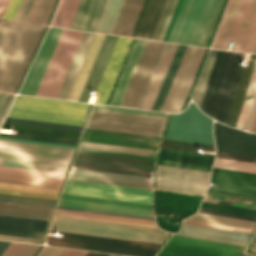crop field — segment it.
Instances as JSON below:
<instances>
[{
	"label": "crop field",
	"mask_w": 256,
	"mask_h": 256,
	"mask_svg": "<svg viewBox=\"0 0 256 256\" xmlns=\"http://www.w3.org/2000/svg\"><path fill=\"white\" fill-rule=\"evenodd\" d=\"M160 158L212 165L214 156L162 149Z\"/></svg>",
	"instance_id": "obj_40"
},
{
	"label": "crop field",
	"mask_w": 256,
	"mask_h": 256,
	"mask_svg": "<svg viewBox=\"0 0 256 256\" xmlns=\"http://www.w3.org/2000/svg\"><path fill=\"white\" fill-rule=\"evenodd\" d=\"M0 182H8V183H16V184H24V185H32V186H40V187H48V188H56V189H60V187H61V186H57V185L39 184V183L4 180V179H0Z\"/></svg>",
	"instance_id": "obj_65"
},
{
	"label": "crop field",
	"mask_w": 256,
	"mask_h": 256,
	"mask_svg": "<svg viewBox=\"0 0 256 256\" xmlns=\"http://www.w3.org/2000/svg\"><path fill=\"white\" fill-rule=\"evenodd\" d=\"M57 208L69 209V210H77V211H87V212H95V213H103V214H111V215H119V216H127V217H135V218H143V219H151V220H154V218H150V217H142V216H134V215H126V214H118V213H110V212H102V211H94V210L70 208V207H62V206H58Z\"/></svg>",
	"instance_id": "obj_62"
},
{
	"label": "crop field",
	"mask_w": 256,
	"mask_h": 256,
	"mask_svg": "<svg viewBox=\"0 0 256 256\" xmlns=\"http://www.w3.org/2000/svg\"><path fill=\"white\" fill-rule=\"evenodd\" d=\"M93 34L94 33H89V32L84 33L82 40L80 42V45L75 54V57L70 66V69L65 78V81L62 85L60 93L57 97L58 99H66L67 98Z\"/></svg>",
	"instance_id": "obj_30"
},
{
	"label": "crop field",
	"mask_w": 256,
	"mask_h": 256,
	"mask_svg": "<svg viewBox=\"0 0 256 256\" xmlns=\"http://www.w3.org/2000/svg\"><path fill=\"white\" fill-rule=\"evenodd\" d=\"M253 132H256V120H255V123H254V126H253Z\"/></svg>",
	"instance_id": "obj_77"
},
{
	"label": "crop field",
	"mask_w": 256,
	"mask_h": 256,
	"mask_svg": "<svg viewBox=\"0 0 256 256\" xmlns=\"http://www.w3.org/2000/svg\"><path fill=\"white\" fill-rule=\"evenodd\" d=\"M245 54L217 51L200 109L227 123L242 75Z\"/></svg>",
	"instance_id": "obj_5"
},
{
	"label": "crop field",
	"mask_w": 256,
	"mask_h": 256,
	"mask_svg": "<svg viewBox=\"0 0 256 256\" xmlns=\"http://www.w3.org/2000/svg\"><path fill=\"white\" fill-rule=\"evenodd\" d=\"M217 155L232 157V158H238V159H244V160H250V161H256V158H254V157L231 154V153H225V152H219V151H217Z\"/></svg>",
	"instance_id": "obj_69"
},
{
	"label": "crop field",
	"mask_w": 256,
	"mask_h": 256,
	"mask_svg": "<svg viewBox=\"0 0 256 256\" xmlns=\"http://www.w3.org/2000/svg\"><path fill=\"white\" fill-rule=\"evenodd\" d=\"M14 96H15V95L8 94V96H7V98H6L5 102H4V104L2 105V107H1V109H0V124H1V122H2V120H3V118H4V116H5V114H6V112H7V110H8V108H9V106H10V104H11V102H12Z\"/></svg>",
	"instance_id": "obj_66"
},
{
	"label": "crop field",
	"mask_w": 256,
	"mask_h": 256,
	"mask_svg": "<svg viewBox=\"0 0 256 256\" xmlns=\"http://www.w3.org/2000/svg\"><path fill=\"white\" fill-rule=\"evenodd\" d=\"M165 121L92 111L86 127L161 137Z\"/></svg>",
	"instance_id": "obj_11"
},
{
	"label": "crop field",
	"mask_w": 256,
	"mask_h": 256,
	"mask_svg": "<svg viewBox=\"0 0 256 256\" xmlns=\"http://www.w3.org/2000/svg\"><path fill=\"white\" fill-rule=\"evenodd\" d=\"M68 179L152 190L147 177L140 176L76 169L74 176L69 175Z\"/></svg>",
	"instance_id": "obj_22"
},
{
	"label": "crop field",
	"mask_w": 256,
	"mask_h": 256,
	"mask_svg": "<svg viewBox=\"0 0 256 256\" xmlns=\"http://www.w3.org/2000/svg\"><path fill=\"white\" fill-rule=\"evenodd\" d=\"M47 222L0 215V234L41 239Z\"/></svg>",
	"instance_id": "obj_24"
},
{
	"label": "crop field",
	"mask_w": 256,
	"mask_h": 256,
	"mask_svg": "<svg viewBox=\"0 0 256 256\" xmlns=\"http://www.w3.org/2000/svg\"><path fill=\"white\" fill-rule=\"evenodd\" d=\"M158 164L176 166V167H184V168H192V169H199V170H207V171H210L211 167H212V166H209V165H201V164L178 162V161L163 160V159H160Z\"/></svg>",
	"instance_id": "obj_55"
},
{
	"label": "crop field",
	"mask_w": 256,
	"mask_h": 256,
	"mask_svg": "<svg viewBox=\"0 0 256 256\" xmlns=\"http://www.w3.org/2000/svg\"><path fill=\"white\" fill-rule=\"evenodd\" d=\"M65 174L0 166V178L61 185Z\"/></svg>",
	"instance_id": "obj_28"
},
{
	"label": "crop field",
	"mask_w": 256,
	"mask_h": 256,
	"mask_svg": "<svg viewBox=\"0 0 256 256\" xmlns=\"http://www.w3.org/2000/svg\"><path fill=\"white\" fill-rule=\"evenodd\" d=\"M10 0H0V19L2 18Z\"/></svg>",
	"instance_id": "obj_71"
},
{
	"label": "crop field",
	"mask_w": 256,
	"mask_h": 256,
	"mask_svg": "<svg viewBox=\"0 0 256 256\" xmlns=\"http://www.w3.org/2000/svg\"><path fill=\"white\" fill-rule=\"evenodd\" d=\"M217 150L256 157V134L229 128L215 122Z\"/></svg>",
	"instance_id": "obj_19"
},
{
	"label": "crop field",
	"mask_w": 256,
	"mask_h": 256,
	"mask_svg": "<svg viewBox=\"0 0 256 256\" xmlns=\"http://www.w3.org/2000/svg\"><path fill=\"white\" fill-rule=\"evenodd\" d=\"M198 212L256 222L255 217L242 216V215L229 214V213H222V212L209 211V210H203V209H199Z\"/></svg>",
	"instance_id": "obj_59"
},
{
	"label": "crop field",
	"mask_w": 256,
	"mask_h": 256,
	"mask_svg": "<svg viewBox=\"0 0 256 256\" xmlns=\"http://www.w3.org/2000/svg\"><path fill=\"white\" fill-rule=\"evenodd\" d=\"M189 219H195V220H201V221H207V222H213V223H219V224H225V225H231V226H237V227H243V228H249V229H253V226L256 224L253 222H247V221H241V220H235V219H229V218H223V217H217V216H211V215H205V214H199V213H196L195 215L189 217Z\"/></svg>",
	"instance_id": "obj_44"
},
{
	"label": "crop field",
	"mask_w": 256,
	"mask_h": 256,
	"mask_svg": "<svg viewBox=\"0 0 256 256\" xmlns=\"http://www.w3.org/2000/svg\"><path fill=\"white\" fill-rule=\"evenodd\" d=\"M6 96H7L6 93H1L0 92V107H1L2 103L4 102Z\"/></svg>",
	"instance_id": "obj_75"
},
{
	"label": "crop field",
	"mask_w": 256,
	"mask_h": 256,
	"mask_svg": "<svg viewBox=\"0 0 256 256\" xmlns=\"http://www.w3.org/2000/svg\"><path fill=\"white\" fill-rule=\"evenodd\" d=\"M213 191L256 198V174L214 168Z\"/></svg>",
	"instance_id": "obj_18"
},
{
	"label": "crop field",
	"mask_w": 256,
	"mask_h": 256,
	"mask_svg": "<svg viewBox=\"0 0 256 256\" xmlns=\"http://www.w3.org/2000/svg\"><path fill=\"white\" fill-rule=\"evenodd\" d=\"M255 59H256V56L251 55L249 61L252 60L254 62L253 63L248 62L247 67L244 68L243 75H242V78L238 87V91L234 100V104H233V107L229 116V120L227 123L230 126H234V127L236 126L240 109L243 103V99L246 93V89L249 83V79L252 73V69L255 63Z\"/></svg>",
	"instance_id": "obj_34"
},
{
	"label": "crop field",
	"mask_w": 256,
	"mask_h": 256,
	"mask_svg": "<svg viewBox=\"0 0 256 256\" xmlns=\"http://www.w3.org/2000/svg\"><path fill=\"white\" fill-rule=\"evenodd\" d=\"M0 188L53 194V195H57L59 192V190H56V189H48V188H40V187H32V186H24V185H16V184H8V183H0Z\"/></svg>",
	"instance_id": "obj_52"
},
{
	"label": "crop field",
	"mask_w": 256,
	"mask_h": 256,
	"mask_svg": "<svg viewBox=\"0 0 256 256\" xmlns=\"http://www.w3.org/2000/svg\"><path fill=\"white\" fill-rule=\"evenodd\" d=\"M56 0H35L25 22L47 25Z\"/></svg>",
	"instance_id": "obj_36"
},
{
	"label": "crop field",
	"mask_w": 256,
	"mask_h": 256,
	"mask_svg": "<svg viewBox=\"0 0 256 256\" xmlns=\"http://www.w3.org/2000/svg\"><path fill=\"white\" fill-rule=\"evenodd\" d=\"M124 0H108L96 32L111 34ZM144 0H125L112 34L130 37Z\"/></svg>",
	"instance_id": "obj_12"
},
{
	"label": "crop field",
	"mask_w": 256,
	"mask_h": 256,
	"mask_svg": "<svg viewBox=\"0 0 256 256\" xmlns=\"http://www.w3.org/2000/svg\"><path fill=\"white\" fill-rule=\"evenodd\" d=\"M56 212L155 225V223H153L152 221H148V220L114 217V216H106V215H97V214H89V213H79V212H75V211H67V210H60V209H57Z\"/></svg>",
	"instance_id": "obj_53"
},
{
	"label": "crop field",
	"mask_w": 256,
	"mask_h": 256,
	"mask_svg": "<svg viewBox=\"0 0 256 256\" xmlns=\"http://www.w3.org/2000/svg\"><path fill=\"white\" fill-rule=\"evenodd\" d=\"M0 136L1 137L18 138V139H27V140H36V141L62 143V144H71V145H75L76 141H77V140H73V139H64V138L28 135V134H20V133H17L16 135L0 133Z\"/></svg>",
	"instance_id": "obj_50"
},
{
	"label": "crop field",
	"mask_w": 256,
	"mask_h": 256,
	"mask_svg": "<svg viewBox=\"0 0 256 256\" xmlns=\"http://www.w3.org/2000/svg\"><path fill=\"white\" fill-rule=\"evenodd\" d=\"M62 30L50 27L19 93L36 95Z\"/></svg>",
	"instance_id": "obj_17"
},
{
	"label": "crop field",
	"mask_w": 256,
	"mask_h": 256,
	"mask_svg": "<svg viewBox=\"0 0 256 256\" xmlns=\"http://www.w3.org/2000/svg\"><path fill=\"white\" fill-rule=\"evenodd\" d=\"M70 149L0 140L2 166L63 172Z\"/></svg>",
	"instance_id": "obj_7"
},
{
	"label": "crop field",
	"mask_w": 256,
	"mask_h": 256,
	"mask_svg": "<svg viewBox=\"0 0 256 256\" xmlns=\"http://www.w3.org/2000/svg\"><path fill=\"white\" fill-rule=\"evenodd\" d=\"M23 0H11L2 19L13 21Z\"/></svg>",
	"instance_id": "obj_57"
},
{
	"label": "crop field",
	"mask_w": 256,
	"mask_h": 256,
	"mask_svg": "<svg viewBox=\"0 0 256 256\" xmlns=\"http://www.w3.org/2000/svg\"><path fill=\"white\" fill-rule=\"evenodd\" d=\"M160 139L158 137L86 128L81 141L157 150Z\"/></svg>",
	"instance_id": "obj_20"
},
{
	"label": "crop field",
	"mask_w": 256,
	"mask_h": 256,
	"mask_svg": "<svg viewBox=\"0 0 256 256\" xmlns=\"http://www.w3.org/2000/svg\"><path fill=\"white\" fill-rule=\"evenodd\" d=\"M9 244H10V242L0 241V256Z\"/></svg>",
	"instance_id": "obj_73"
},
{
	"label": "crop field",
	"mask_w": 256,
	"mask_h": 256,
	"mask_svg": "<svg viewBox=\"0 0 256 256\" xmlns=\"http://www.w3.org/2000/svg\"><path fill=\"white\" fill-rule=\"evenodd\" d=\"M230 2H231V0H230L229 3H228L226 12H225V14H224V16H223V19H222V22H221V25H220V28H219V31H220V29H221V26H222V23H223V21H224V18H225V15H226V13H227V10H228V7H229V5H230ZM219 31H218V33H217L216 39H217V37H218ZM216 39H215V41H214V44H213L212 48H213L214 45H215Z\"/></svg>",
	"instance_id": "obj_74"
},
{
	"label": "crop field",
	"mask_w": 256,
	"mask_h": 256,
	"mask_svg": "<svg viewBox=\"0 0 256 256\" xmlns=\"http://www.w3.org/2000/svg\"><path fill=\"white\" fill-rule=\"evenodd\" d=\"M250 203H251V206H249V208L256 209V202L251 201Z\"/></svg>",
	"instance_id": "obj_76"
},
{
	"label": "crop field",
	"mask_w": 256,
	"mask_h": 256,
	"mask_svg": "<svg viewBox=\"0 0 256 256\" xmlns=\"http://www.w3.org/2000/svg\"><path fill=\"white\" fill-rule=\"evenodd\" d=\"M165 139L214 144L212 119L190 103L184 112L171 115Z\"/></svg>",
	"instance_id": "obj_9"
},
{
	"label": "crop field",
	"mask_w": 256,
	"mask_h": 256,
	"mask_svg": "<svg viewBox=\"0 0 256 256\" xmlns=\"http://www.w3.org/2000/svg\"><path fill=\"white\" fill-rule=\"evenodd\" d=\"M0 197L11 198V199H19V200H27V201H35V202H43V203H51V204L55 203V201H53V200L29 198V197L6 195V194H0Z\"/></svg>",
	"instance_id": "obj_63"
},
{
	"label": "crop field",
	"mask_w": 256,
	"mask_h": 256,
	"mask_svg": "<svg viewBox=\"0 0 256 256\" xmlns=\"http://www.w3.org/2000/svg\"><path fill=\"white\" fill-rule=\"evenodd\" d=\"M89 106L85 103L19 96L8 116L82 126Z\"/></svg>",
	"instance_id": "obj_6"
},
{
	"label": "crop field",
	"mask_w": 256,
	"mask_h": 256,
	"mask_svg": "<svg viewBox=\"0 0 256 256\" xmlns=\"http://www.w3.org/2000/svg\"><path fill=\"white\" fill-rule=\"evenodd\" d=\"M164 43L148 40L120 106L137 108Z\"/></svg>",
	"instance_id": "obj_15"
},
{
	"label": "crop field",
	"mask_w": 256,
	"mask_h": 256,
	"mask_svg": "<svg viewBox=\"0 0 256 256\" xmlns=\"http://www.w3.org/2000/svg\"><path fill=\"white\" fill-rule=\"evenodd\" d=\"M176 235L236 244L245 246L250 235L236 233L233 231L213 229L207 227L184 224L181 231Z\"/></svg>",
	"instance_id": "obj_25"
},
{
	"label": "crop field",
	"mask_w": 256,
	"mask_h": 256,
	"mask_svg": "<svg viewBox=\"0 0 256 256\" xmlns=\"http://www.w3.org/2000/svg\"><path fill=\"white\" fill-rule=\"evenodd\" d=\"M134 39L119 37L98 86L95 103L106 104Z\"/></svg>",
	"instance_id": "obj_21"
},
{
	"label": "crop field",
	"mask_w": 256,
	"mask_h": 256,
	"mask_svg": "<svg viewBox=\"0 0 256 256\" xmlns=\"http://www.w3.org/2000/svg\"><path fill=\"white\" fill-rule=\"evenodd\" d=\"M53 209L0 202V214L48 220Z\"/></svg>",
	"instance_id": "obj_31"
},
{
	"label": "crop field",
	"mask_w": 256,
	"mask_h": 256,
	"mask_svg": "<svg viewBox=\"0 0 256 256\" xmlns=\"http://www.w3.org/2000/svg\"><path fill=\"white\" fill-rule=\"evenodd\" d=\"M157 151L81 142L72 167L152 177Z\"/></svg>",
	"instance_id": "obj_4"
},
{
	"label": "crop field",
	"mask_w": 256,
	"mask_h": 256,
	"mask_svg": "<svg viewBox=\"0 0 256 256\" xmlns=\"http://www.w3.org/2000/svg\"><path fill=\"white\" fill-rule=\"evenodd\" d=\"M214 167L230 169L236 171H243L249 173H256V162L226 158V157H216Z\"/></svg>",
	"instance_id": "obj_41"
},
{
	"label": "crop field",
	"mask_w": 256,
	"mask_h": 256,
	"mask_svg": "<svg viewBox=\"0 0 256 256\" xmlns=\"http://www.w3.org/2000/svg\"><path fill=\"white\" fill-rule=\"evenodd\" d=\"M244 1L241 0L222 49H225ZM230 40L231 50L253 53L256 47V0H245ZM227 49V48H226Z\"/></svg>",
	"instance_id": "obj_13"
},
{
	"label": "crop field",
	"mask_w": 256,
	"mask_h": 256,
	"mask_svg": "<svg viewBox=\"0 0 256 256\" xmlns=\"http://www.w3.org/2000/svg\"><path fill=\"white\" fill-rule=\"evenodd\" d=\"M207 184L156 177V189L204 195Z\"/></svg>",
	"instance_id": "obj_33"
},
{
	"label": "crop field",
	"mask_w": 256,
	"mask_h": 256,
	"mask_svg": "<svg viewBox=\"0 0 256 256\" xmlns=\"http://www.w3.org/2000/svg\"><path fill=\"white\" fill-rule=\"evenodd\" d=\"M0 193L30 196V197L45 198V199H53V200H56V198H57V196H53V195H45V194H37V193H29V192H20V191H12V190H4V189H0Z\"/></svg>",
	"instance_id": "obj_60"
},
{
	"label": "crop field",
	"mask_w": 256,
	"mask_h": 256,
	"mask_svg": "<svg viewBox=\"0 0 256 256\" xmlns=\"http://www.w3.org/2000/svg\"><path fill=\"white\" fill-rule=\"evenodd\" d=\"M255 96H256V64L252 73L249 87H248L245 100L241 109V113L238 119V123L236 126L237 128L245 129L251 110H252Z\"/></svg>",
	"instance_id": "obj_39"
},
{
	"label": "crop field",
	"mask_w": 256,
	"mask_h": 256,
	"mask_svg": "<svg viewBox=\"0 0 256 256\" xmlns=\"http://www.w3.org/2000/svg\"><path fill=\"white\" fill-rule=\"evenodd\" d=\"M216 51L217 50H214V49L210 50L208 59L206 61L204 70H203L202 75H201V78H200V80H199V82H198V84L195 88V91L193 93L192 98L197 103L198 107H200V104H201V100H202L204 90H205V87H206V84H207V81H208V77H209V74H210V71H211V68H212V64H213V61H214V58H215Z\"/></svg>",
	"instance_id": "obj_42"
},
{
	"label": "crop field",
	"mask_w": 256,
	"mask_h": 256,
	"mask_svg": "<svg viewBox=\"0 0 256 256\" xmlns=\"http://www.w3.org/2000/svg\"><path fill=\"white\" fill-rule=\"evenodd\" d=\"M22 244L11 242L2 256H14L18 249L21 247Z\"/></svg>",
	"instance_id": "obj_67"
},
{
	"label": "crop field",
	"mask_w": 256,
	"mask_h": 256,
	"mask_svg": "<svg viewBox=\"0 0 256 256\" xmlns=\"http://www.w3.org/2000/svg\"><path fill=\"white\" fill-rule=\"evenodd\" d=\"M34 0H24L14 21L24 22Z\"/></svg>",
	"instance_id": "obj_58"
},
{
	"label": "crop field",
	"mask_w": 256,
	"mask_h": 256,
	"mask_svg": "<svg viewBox=\"0 0 256 256\" xmlns=\"http://www.w3.org/2000/svg\"><path fill=\"white\" fill-rule=\"evenodd\" d=\"M147 40L137 39L109 105L119 106Z\"/></svg>",
	"instance_id": "obj_29"
},
{
	"label": "crop field",
	"mask_w": 256,
	"mask_h": 256,
	"mask_svg": "<svg viewBox=\"0 0 256 256\" xmlns=\"http://www.w3.org/2000/svg\"><path fill=\"white\" fill-rule=\"evenodd\" d=\"M109 256H119V255H113V254H109Z\"/></svg>",
	"instance_id": "obj_79"
},
{
	"label": "crop field",
	"mask_w": 256,
	"mask_h": 256,
	"mask_svg": "<svg viewBox=\"0 0 256 256\" xmlns=\"http://www.w3.org/2000/svg\"><path fill=\"white\" fill-rule=\"evenodd\" d=\"M0 139L15 140V141H23V142H31V143H39V144H47V145H55V146H63V147H71V148H74V147H75V146H71V145H62V144L45 143V142H36V141H27V140H18V139L1 138V137H0Z\"/></svg>",
	"instance_id": "obj_70"
},
{
	"label": "crop field",
	"mask_w": 256,
	"mask_h": 256,
	"mask_svg": "<svg viewBox=\"0 0 256 256\" xmlns=\"http://www.w3.org/2000/svg\"><path fill=\"white\" fill-rule=\"evenodd\" d=\"M107 0H81L70 28L95 32Z\"/></svg>",
	"instance_id": "obj_26"
},
{
	"label": "crop field",
	"mask_w": 256,
	"mask_h": 256,
	"mask_svg": "<svg viewBox=\"0 0 256 256\" xmlns=\"http://www.w3.org/2000/svg\"><path fill=\"white\" fill-rule=\"evenodd\" d=\"M80 0H61L51 26L69 28Z\"/></svg>",
	"instance_id": "obj_37"
},
{
	"label": "crop field",
	"mask_w": 256,
	"mask_h": 256,
	"mask_svg": "<svg viewBox=\"0 0 256 256\" xmlns=\"http://www.w3.org/2000/svg\"><path fill=\"white\" fill-rule=\"evenodd\" d=\"M162 148L197 152V153H200V150L214 151V146H210V145L185 143V142H177V141H169V140L164 141Z\"/></svg>",
	"instance_id": "obj_48"
},
{
	"label": "crop field",
	"mask_w": 256,
	"mask_h": 256,
	"mask_svg": "<svg viewBox=\"0 0 256 256\" xmlns=\"http://www.w3.org/2000/svg\"><path fill=\"white\" fill-rule=\"evenodd\" d=\"M46 27L0 20V90L14 93Z\"/></svg>",
	"instance_id": "obj_3"
},
{
	"label": "crop field",
	"mask_w": 256,
	"mask_h": 256,
	"mask_svg": "<svg viewBox=\"0 0 256 256\" xmlns=\"http://www.w3.org/2000/svg\"><path fill=\"white\" fill-rule=\"evenodd\" d=\"M83 33L63 30L36 96L57 97Z\"/></svg>",
	"instance_id": "obj_8"
},
{
	"label": "crop field",
	"mask_w": 256,
	"mask_h": 256,
	"mask_svg": "<svg viewBox=\"0 0 256 256\" xmlns=\"http://www.w3.org/2000/svg\"><path fill=\"white\" fill-rule=\"evenodd\" d=\"M187 46L179 45L152 110L160 111Z\"/></svg>",
	"instance_id": "obj_35"
},
{
	"label": "crop field",
	"mask_w": 256,
	"mask_h": 256,
	"mask_svg": "<svg viewBox=\"0 0 256 256\" xmlns=\"http://www.w3.org/2000/svg\"><path fill=\"white\" fill-rule=\"evenodd\" d=\"M255 116H256V104H255V107H254V111H253V114H252V118H251V121H250V124H249L248 131L252 130V126H253V123H254V120H255Z\"/></svg>",
	"instance_id": "obj_72"
},
{
	"label": "crop field",
	"mask_w": 256,
	"mask_h": 256,
	"mask_svg": "<svg viewBox=\"0 0 256 256\" xmlns=\"http://www.w3.org/2000/svg\"><path fill=\"white\" fill-rule=\"evenodd\" d=\"M55 216L67 217V218H75V219H83V220H91V221H99V222L116 223V224H124V225H132V226H140V227H148V228H156V229H158L156 226H152V225H144V224H136V223H129V222L105 220V219L90 218V217H82V216H75V215H67V214H59V213H56Z\"/></svg>",
	"instance_id": "obj_54"
},
{
	"label": "crop field",
	"mask_w": 256,
	"mask_h": 256,
	"mask_svg": "<svg viewBox=\"0 0 256 256\" xmlns=\"http://www.w3.org/2000/svg\"><path fill=\"white\" fill-rule=\"evenodd\" d=\"M245 256H256V255L246 253Z\"/></svg>",
	"instance_id": "obj_78"
},
{
	"label": "crop field",
	"mask_w": 256,
	"mask_h": 256,
	"mask_svg": "<svg viewBox=\"0 0 256 256\" xmlns=\"http://www.w3.org/2000/svg\"><path fill=\"white\" fill-rule=\"evenodd\" d=\"M210 172L158 165L156 176L207 183Z\"/></svg>",
	"instance_id": "obj_32"
},
{
	"label": "crop field",
	"mask_w": 256,
	"mask_h": 256,
	"mask_svg": "<svg viewBox=\"0 0 256 256\" xmlns=\"http://www.w3.org/2000/svg\"><path fill=\"white\" fill-rule=\"evenodd\" d=\"M64 251L63 248L43 246L37 256H61ZM87 253L86 251L66 249L62 256H86ZM87 256H108V254L89 252Z\"/></svg>",
	"instance_id": "obj_45"
},
{
	"label": "crop field",
	"mask_w": 256,
	"mask_h": 256,
	"mask_svg": "<svg viewBox=\"0 0 256 256\" xmlns=\"http://www.w3.org/2000/svg\"><path fill=\"white\" fill-rule=\"evenodd\" d=\"M40 246L23 244L15 256H34Z\"/></svg>",
	"instance_id": "obj_61"
},
{
	"label": "crop field",
	"mask_w": 256,
	"mask_h": 256,
	"mask_svg": "<svg viewBox=\"0 0 256 256\" xmlns=\"http://www.w3.org/2000/svg\"><path fill=\"white\" fill-rule=\"evenodd\" d=\"M2 128L17 130V132H20V133L47 135V136L73 138V139H77L80 134L77 132L61 131V130L30 127V126L7 124V123H4Z\"/></svg>",
	"instance_id": "obj_38"
},
{
	"label": "crop field",
	"mask_w": 256,
	"mask_h": 256,
	"mask_svg": "<svg viewBox=\"0 0 256 256\" xmlns=\"http://www.w3.org/2000/svg\"><path fill=\"white\" fill-rule=\"evenodd\" d=\"M0 201L4 202H14V203H21V204H28V205H36V206H43V207H50L53 208L54 205L51 204H43V203H35V202H27V201H19V200H11V199H4L0 198Z\"/></svg>",
	"instance_id": "obj_68"
},
{
	"label": "crop field",
	"mask_w": 256,
	"mask_h": 256,
	"mask_svg": "<svg viewBox=\"0 0 256 256\" xmlns=\"http://www.w3.org/2000/svg\"><path fill=\"white\" fill-rule=\"evenodd\" d=\"M184 223L187 224H193V225H200V226H207V227H213V228H220V229H227V230H233V231H239L242 233H248L250 234L252 230L249 229H243V228H237V227H231V226H225V225H219V224H213V223H207V222H201V221H195V220H189L185 219Z\"/></svg>",
	"instance_id": "obj_56"
},
{
	"label": "crop field",
	"mask_w": 256,
	"mask_h": 256,
	"mask_svg": "<svg viewBox=\"0 0 256 256\" xmlns=\"http://www.w3.org/2000/svg\"><path fill=\"white\" fill-rule=\"evenodd\" d=\"M254 53H256V50H255V52Z\"/></svg>",
	"instance_id": "obj_81"
},
{
	"label": "crop field",
	"mask_w": 256,
	"mask_h": 256,
	"mask_svg": "<svg viewBox=\"0 0 256 256\" xmlns=\"http://www.w3.org/2000/svg\"><path fill=\"white\" fill-rule=\"evenodd\" d=\"M178 0H147L133 37L162 41ZM215 0H183L167 41L197 46Z\"/></svg>",
	"instance_id": "obj_2"
},
{
	"label": "crop field",
	"mask_w": 256,
	"mask_h": 256,
	"mask_svg": "<svg viewBox=\"0 0 256 256\" xmlns=\"http://www.w3.org/2000/svg\"><path fill=\"white\" fill-rule=\"evenodd\" d=\"M200 208L256 217V210L203 202Z\"/></svg>",
	"instance_id": "obj_51"
},
{
	"label": "crop field",
	"mask_w": 256,
	"mask_h": 256,
	"mask_svg": "<svg viewBox=\"0 0 256 256\" xmlns=\"http://www.w3.org/2000/svg\"><path fill=\"white\" fill-rule=\"evenodd\" d=\"M58 205L154 217L148 204L63 194Z\"/></svg>",
	"instance_id": "obj_16"
},
{
	"label": "crop field",
	"mask_w": 256,
	"mask_h": 256,
	"mask_svg": "<svg viewBox=\"0 0 256 256\" xmlns=\"http://www.w3.org/2000/svg\"><path fill=\"white\" fill-rule=\"evenodd\" d=\"M117 38L116 36H105L78 101L87 102L93 87H97Z\"/></svg>",
	"instance_id": "obj_27"
},
{
	"label": "crop field",
	"mask_w": 256,
	"mask_h": 256,
	"mask_svg": "<svg viewBox=\"0 0 256 256\" xmlns=\"http://www.w3.org/2000/svg\"><path fill=\"white\" fill-rule=\"evenodd\" d=\"M249 204V201L247 202V204L246 205H248Z\"/></svg>",
	"instance_id": "obj_80"
},
{
	"label": "crop field",
	"mask_w": 256,
	"mask_h": 256,
	"mask_svg": "<svg viewBox=\"0 0 256 256\" xmlns=\"http://www.w3.org/2000/svg\"><path fill=\"white\" fill-rule=\"evenodd\" d=\"M63 193L152 204V191L68 180Z\"/></svg>",
	"instance_id": "obj_14"
},
{
	"label": "crop field",
	"mask_w": 256,
	"mask_h": 256,
	"mask_svg": "<svg viewBox=\"0 0 256 256\" xmlns=\"http://www.w3.org/2000/svg\"><path fill=\"white\" fill-rule=\"evenodd\" d=\"M178 45L165 43L138 108L151 110Z\"/></svg>",
	"instance_id": "obj_23"
},
{
	"label": "crop field",
	"mask_w": 256,
	"mask_h": 256,
	"mask_svg": "<svg viewBox=\"0 0 256 256\" xmlns=\"http://www.w3.org/2000/svg\"><path fill=\"white\" fill-rule=\"evenodd\" d=\"M92 110L129 114V115H137V116L154 117V118H162V119H166V117H167L166 113H161V112L117 108V107L100 106V105H94Z\"/></svg>",
	"instance_id": "obj_43"
},
{
	"label": "crop field",
	"mask_w": 256,
	"mask_h": 256,
	"mask_svg": "<svg viewBox=\"0 0 256 256\" xmlns=\"http://www.w3.org/2000/svg\"><path fill=\"white\" fill-rule=\"evenodd\" d=\"M5 122L80 132L82 127L7 117Z\"/></svg>",
	"instance_id": "obj_47"
},
{
	"label": "crop field",
	"mask_w": 256,
	"mask_h": 256,
	"mask_svg": "<svg viewBox=\"0 0 256 256\" xmlns=\"http://www.w3.org/2000/svg\"><path fill=\"white\" fill-rule=\"evenodd\" d=\"M49 230L149 242L162 244L169 233L148 228L107 224L55 217ZM63 234V238L47 236L49 245L105 251L137 256H152L160 245L53 232Z\"/></svg>",
	"instance_id": "obj_1"
},
{
	"label": "crop field",
	"mask_w": 256,
	"mask_h": 256,
	"mask_svg": "<svg viewBox=\"0 0 256 256\" xmlns=\"http://www.w3.org/2000/svg\"><path fill=\"white\" fill-rule=\"evenodd\" d=\"M207 49L188 46L161 111H181Z\"/></svg>",
	"instance_id": "obj_10"
},
{
	"label": "crop field",
	"mask_w": 256,
	"mask_h": 256,
	"mask_svg": "<svg viewBox=\"0 0 256 256\" xmlns=\"http://www.w3.org/2000/svg\"><path fill=\"white\" fill-rule=\"evenodd\" d=\"M0 239L40 244L41 240L0 235Z\"/></svg>",
	"instance_id": "obj_64"
},
{
	"label": "crop field",
	"mask_w": 256,
	"mask_h": 256,
	"mask_svg": "<svg viewBox=\"0 0 256 256\" xmlns=\"http://www.w3.org/2000/svg\"><path fill=\"white\" fill-rule=\"evenodd\" d=\"M240 0H232L231 5L229 7L228 13L226 15L225 21L223 23L222 29L220 31L219 37L217 39L216 45L214 48L221 49L228 33L229 27L235 15L236 9L238 7Z\"/></svg>",
	"instance_id": "obj_49"
},
{
	"label": "crop field",
	"mask_w": 256,
	"mask_h": 256,
	"mask_svg": "<svg viewBox=\"0 0 256 256\" xmlns=\"http://www.w3.org/2000/svg\"><path fill=\"white\" fill-rule=\"evenodd\" d=\"M225 0H216L199 46H208Z\"/></svg>",
	"instance_id": "obj_46"
}]
</instances>
